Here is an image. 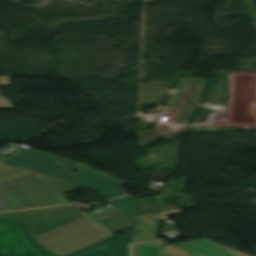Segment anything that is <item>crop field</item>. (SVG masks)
<instances>
[{"instance_id": "8a807250", "label": "crop field", "mask_w": 256, "mask_h": 256, "mask_svg": "<svg viewBox=\"0 0 256 256\" xmlns=\"http://www.w3.org/2000/svg\"><path fill=\"white\" fill-rule=\"evenodd\" d=\"M78 186L38 173L0 184V207L4 211L70 203L63 195Z\"/></svg>"}, {"instance_id": "3316defc", "label": "crop field", "mask_w": 256, "mask_h": 256, "mask_svg": "<svg viewBox=\"0 0 256 256\" xmlns=\"http://www.w3.org/2000/svg\"><path fill=\"white\" fill-rule=\"evenodd\" d=\"M110 202L121 212H123L128 218L134 221L135 199L133 196L122 197Z\"/></svg>"}, {"instance_id": "d1516ede", "label": "crop field", "mask_w": 256, "mask_h": 256, "mask_svg": "<svg viewBox=\"0 0 256 256\" xmlns=\"http://www.w3.org/2000/svg\"><path fill=\"white\" fill-rule=\"evenodd\" d=\"M0 85L10 86L9 77L0 76ZM0 108H14V107L0 95Z\"/></svg>"}, {"instance_id": "e52e79f7", "label": "crop field", "mask_w": 256, "mask_h": 256, "mask_svg": "<svg viewBox=\"0 0 256 256\" xmlns=\"http://www.w3.org/2000/svg\"><path fill=\"white\" fill-rule=\"evenodd\" d=\"M132 229L70 256H129Z\"/></svg>"}, {"instance_id": "28ad6ade", "label": "crop field", "mask_w": 256, "mask_h": 256, "mask_svg": "<svg viewBox=\"0 0 256 256\" xmlns=\"http://www.w3.org/2000/svg\"><path fill=\"white\" fill-rule=\"evenodd\" d=\"M33 173V171H29L19 167H9L0 164V182L10 180L16 177H20L26 174Z\"/></svg>"}, {"instance_id": "dd49c442", "label": "crop field", "mask_w": 256, "mask_h": 256, "mask_svg": "<svg viewBox=\"0 0 256 256\" xmlns=\"http://www.w3.org/2000/svg\"><path fill=\"white\" fill-rule=\"evenodd\" d=\"M60 180L96 191L107 199L127 194L123 187L128 183L88 166L71 172Z\"/></svg>"}, {"instance_id": "d8731c3e", "label": "crop field", "mask_w": 256, "mask_h": 256, "mask_svg": "<svg viewBox=\"0 0 256 256\" xmlns=\"http://www.w3.org/2000/svg\"><path fill=\"white\" fill-rule=\"evenodd\" d=\"M175 256H238L205 240L168 247Z\"/></svg>"}, {"instance_id": "ac0d7876", "label": "crop field", "mask_w": 256, "mask_h": 256, "mask_svg": "<svg viewBox=\"0 0 256 256\" xmlns=\"http://www.w3.org/2000/svg\"><path fill=\"white\" fill-rule=\"evenodd\" d=\"M88 216L36 237L38 242L59 256H64L114 235Z\"/></svg>"}, {"instance_id": "5a996713", "label": "crop field", "mask_w": 256, "mask_h": 256, "mask_svg": "<svg viewBox=\"0 0 256 256\" xmlns=\"http://www.w3.org/2000/svg\"><path fill=\"white\" fill-rule=\"evenodd\" d=\"M164 220L166 219L163 212L135 216L134 242L157 240L155 232Z\"/></svg>"}, {"instance_id": "f4fd0767", "label": "crop field", "mask_w": 256, "mask_h": 256, "mask_svg": "<svg viewBox=\"0 0 256 256\" xmlns=\"http://www.w3.org/2000/svg\"><path fill=\"white\" fill-rule=\"evenodd\" d=\"M14 152H18L20 154L12 159L7 165L27 167L57 179L74 169H79L84 166L58 156L33 149L20 148Z\"/></svg>"}, {"instance_id": "412701ff", "label": "crop field", "mask_w": 256, "mask_h": 256, "mask_svg": "<svg viewBox=\"0 0 256 256\" xmlns=\"http://www.w3.org/2000/svg\"><path fill=\"white\" fill-rule=\"evenodd\" d=\"M0 256H53L30 236L27 229L13 221H0Z\"/></svg>"}, {"instance_id": "34b2d1b8", "label": "crop field", "mask_w": 256, "mask_h": 256, "mask_svg": "<svg viewBox=\"0 0 256 256\" xmlns=\"http://www.w3.org/2000/svg\"><path fill=\"white\" fill-rule=\"evenodd\" d=\"M72 207H55L27 211L0 213V220L13 219L29 227L33 236H39L59 226L85 216Z\"/></svg>"}]
</instances>
